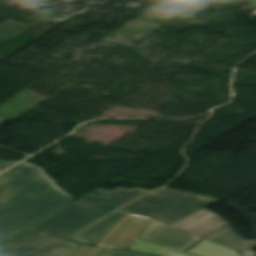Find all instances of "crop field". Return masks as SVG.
<instances>
[{
	"mask_svg": "<svg viewBox=\"0 0 256 256\" xmlns=\"http://www.w3.org/2000/svg\"><path fill=\"white\" fill-rule=\"evenodd\" d=\"M151 220L127 214L96 246L108 245L127 249Z\"/></svg>",
	"mask_w": 256,
	"mask_h": 256,
	"instance_id": "obj_6",
	"label": "crop field"
},
{
	"mask_svg": "<svg viewBox=\"0 0 256 256\" xmlns=\"http://www.w3.org/2000/svg\"><path fill=\"white\" fill-rule=\"evenodd\" d=\"M146 192L138 187L132 190L119 187L113 191L98 188L0 247V256H45L68 241L34 229L64 237Z\"/></svg>",
	"mask_w": 256,
	"mask_h": 256,
	"instance_id": "obj_2",
	"label": "crop field"
},
{
	"mask_svg": "<svg viewBox=\"0 0 256 256\" xmlns=\"http://www.w3.org/2000/svg\"><path fill=\"white\" fill-rule=\"evenodd\" d=\"M127 250L138 251L157 256H195L139 238H137Z\"/></svg>",
	"mask_w": 256,
	"mask_h": 256,
	"instance_id": "obj_8",
	"label": "crop field"
},
{
	"mask_svg": "<svg viewBox=\"0 0 256 256\" xmlns=\"http://www.w3.org/2000/svg\"><path fill=\"white\" fill-rule=\"evenodd\" d=\"M225 223L227 222L222 217L203 209L171 225L233 248L241 256H255L251 248L256 246V240H244L229 225L221 228Z\"/></svg>",
	"mask_w": 256,
	"mask_h": 256,
	"instance_id": "obj_4",
	"label": "crop field"
},
{
	"mask_svg": "<svg viewBox=\"0 0 256 256\" xmlns=\"http://www.w3.org/2000/svg\"><path fill=\"white\" fill-rule=\"evenodd\" d=\"M81 247L79 244L68 242L46 256H73ZM107 256H151L113 249Z\"/></svg>",
	"mask_w": 256,
	"mask_h": 256,
	"instance_id": "obj_10",
	"label": "crop field"
},
{
	"mask_svg": "<svg viewBox=\"0 0 256 256\" xmlns=\"http://www.w3.org/2000/svg\"><path fill=\"white\" fill-rule=\"evenodd\" d=\"M188 252L200 256H238L235 251L226 247L214 244L208 240H202L196 246L191 248Z\"/></svg>",
	"mask_w": 256,
	"mask_h": 256,
	"instance_id": "obj_9",
	"label": "crop field"
},
{
	"mask_svg": "<svg viewBox=\"0 0 256 256\" xmlns=\"http://www.w3.org/2000/svg\"><path fill=\"white\" fill-rule=\"evenodd\" d=\"M212 203L188 192L163 188L117 210L171 224Z\"/></svg>",
	"mask_w": 256,
	"mask_h": 256,
	"instance_id": "obj_3",
	"label": "crop field"
},
{
	"mask_svg": "<svg viewBox=\"0 0 256 256\" xmlns=\"http://www.w3.org/2000/svg\"><path fill=\"white\" fill-rule=\"evenodd\" d=\"M40 168L20 163L0 175V245L71 204Z\"/></svg>",
	"mask_w": 256,
	"mask_h": 256,
	"instance_id": "obj_1",
	"label": "crop field"
},
{
	"mask_svg": "<svg viewBox=\"0 0 256 256\" xmlns=\"http://www.w3.org/2000/svg\"><path fill=\"white\" fill-rule=\"evenodd\" d=\"M139 238L185 251L202 237L153 219Z\"/></svg>",
	"mask_w": 256,
	"mask_h": 256,
	"instance_id": "obj_5",
	"label": "crop field"
},
{
	"mask_svg": "<svg viewBox=\"0 0 256 256\" xmlns=\"http://www.w3.org/2000/svg\"><path fill=\"white\" fill-rule=\"evenodd\" d=\"M125 215L113 211L65 238L95 246Z\"/></svg>",
	"mask_w": 256,
	"mask_h": 256,
	"instance_id": "obj_7",
	"label": "crop field"
},
{
	"mask_svg": "<svg viewBox=\"0 0 256 256\" xmlns=\"http://www.w3.org/2000/svg\"><path fill=\"white\" fill-rule=\"evenodd\" d=\"M111 250L107 247L89 248L82 246L74 256H106Z\"/></svg>",
	"mask_w": 256,
	"mask_h": 256,
	"instance_id": "obj_11",
	"label": "crop field"
},
{
	"mask_svg": "<svg viewBox=\"0 0 256 256\" xmlns=\"http://www.w3.org/2000/svg\"><path fill=\"white\" fill-rule=\"evenodd\" d=\"M16 162L8 161V160H0V172L8 168L9 166L15 164Z\"/></svg>",
	"mask_w": 256,
	"mask_h": 256,
	"instance_id": "obj_12",
	"label": "crop field"
},
{
	"mask_svg": "<svg viewBox=\"0 0 256 256\" xmlns=\"http://www.w3.org/2000/svg\"><path fill=\"white\" fill-rule=\"evenodd\" d=\"M4 121H6V118L0 116V124H2Z\"/></svg>",
	"mask_w": 256,
	"mask_h": 256,
	"instance_id": "obj_13",
	"label": "crop field"
}]
</instances>
